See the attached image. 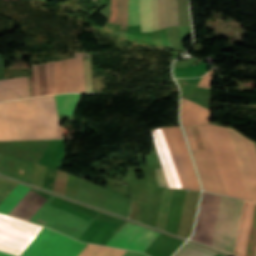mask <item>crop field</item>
I'll return each mask as SVG.
<instances>
[{
    "label": "crop field",
    "mask_w": 256,
    "mask_h": 256,
    "mask_svg": "<svg viewBox=\"0 0 256 256\" xmlns=\"http://www.w3.org/2000/svg\"><path fill=\"white\" fill-rule=\"evenodd\" d=\"M211 193L203 192L199 215L195 227V233L191 239L201 243L206 215ZM244 201L233 199L217 194L211 195L207 221L203 236V244L233 252L240 216ZM255 203L245 201L237 239L234 248V255L244 256L250 223ZM256 254V205L250 228L245 256Z\"/></svg>",
    "instance_id": "obj_1"
},
{
    "label": "crop field",
    "mask_w": 256,
    "mask_h": 256,
    "mask_svg": "<svg viewBox=\"0 0 256 256\" xmlns=\"http://www.w3.org/2000/svg\"><path fill=\"white\" fill-rule=\"evenodd\" d=\"M206 126L227 194L251 200L227 129ZM206 126H197L206 150L192 152L202 187L205 191L227 195Z\"/></svg>",
    "instance_id": "obj_2"
},
{
    "label": "crop field",
    "mask_w": 256,
    "mask_h": 256,
    "mask_svg": "<svg viewBox=\"0 0 256 256\" xmlns=\"http://www.w3.org/2000/svg\"><path fill=\"white\" fill-rule=\"evenodd\" d=\"M26 102L32 139L62 138L53 96ZM26 102H0V140L31 139Z\"/></svg>",
    "instance_id": "obj_3"
},
{
    "label": "crop field",
    "mask_w": 256,
    "mask_h": 256,
    "mask_svg": "<svg viewBox=\"0 0 256 256\" xmlns=\"http://www.w3.org/2000/svg\"><path fill=\"white\" fill-rule=\"evenodd\" d=\"M85 245L43 227L21 256H77Z\"/></svg>",
    "instance_id": "obj_4"
},
{
    "label": "crop field",
    "mask_w": 256,
    "mask_h": 256,
    "mask_svg": "<svg viewBox=\"0 0 256 256\" xmlns=\"http://www.w3.org/2000/svg\"><path fill=\"white\" fill-rule=\"evenodd\" d=\"M45 95L68 92L65 60L42 64ZM41 64L31 65V96L44 95Z\"/></svg>",
    "instance_id": "obj_5"
},
{
    "label": "crop field",
    "mask_w": 256,
    "mask_h": 256,
    "mask_svg": "<svg viewBox=\"0 0 256 256\" xmlns=\"http://www.w3.org/2000/svg\"><path fill=\"white\" fill-rule=\"evenodd\" d=\"M42 227L0 215V250L20 255Z\"/></svg>",
    "instance_id": "obj_6"
},
{
    "label": "crop field",
    "mask_w": 256,
    "mask_h": 256,
    "mask_svg": "<svg viewBox=\"0 0 256 256\" xmlns=\"http://www.w3.org/2000/svg\"><path fill=\"white\" fill-rule=\"evenodd\" d=\"M162 129H163L166 141L168 143V146H169L177 173L179 175L182 187L187 188V189H190V188L191 189H200L198 179H197V176L195 173V169H194L193 163L191 161L190 155L188 153V150H187L184 138H183V133H182L181 127H174V128H169V129H170L171 135L173 137L176 149L178 151V154H179L182 166L184 168L187 180L189 182L190 188H189L188 182L186 180L183 168L181 166V163H180L177 151L175 149L172 137L170 135L169 129L168 128H162Z\"/></svg>",
    "instance_id": "obj_7"
},
{
    "label": "crop field",
    "mask_w": 256,
    "mask_h": 256,
    "mask_svg": "<svg viewBox=\"0 0 256 256\" xmlns=\"http://www.w3.org/2000/svg\"><path fill=\"white\" fill-rule=\"evenodd\" d=\"M232 139L251 199L256 201V144L227 128Z\"/></svg>",
    "instance_id": "obj_8"
},
{
    "label": "crop field",
    "mask_w": 256,
    "mask_h": 256,
    "mask_svg": "<svg viewBox=\"0 0 256 256\" xmlns=\"http://www.w3.org/2000/svg\"><path fill=\"white\" fill-rule=\"evenodd\" d=\"M158 234L159 232L126 222L106 245L144 252Z\"/></svg>",
    "instance_id": "obj_9"
},
{
    "label": "crop field",
    "mask_w": 256,
    "mask_h": 256,
    "mask_svg": "<svg viewBox=\"0 0 256 256\" xmlns=\"http://www.w3.org/2000/svg\"><path fill=\"white\" fill-rule=\"evenodd\" d=\"M151 132L169 187L182 188L162 129H155Z\"/></svg>",
    "instance_id": "obj_10"
},
{
    "label": "crop field",
    "mask_w": 256,
    "mask_h": 256,
    "mask_svg": "<svg viewBox=\"0 0 256 256\" xmlns=\"http://www.w3.org/2000/svg\"><path fill=\"white\" fill-rule=\"evenodd\" d=\"M211 110L182 98L181 121L183 126L209 123Z\"/></svg>",
    "instance_id": "obj_11"
},
{
    "label": "crop field",
    "mask_w": 256,
    "mask_h": 256,
    "mask_svg": "<svg viewBox=\"0 0 256 256\" xmlns=\"http://www.w3.org/2000/svg\"><path fill=\"white\" fill-rule=\"evenodd\" d=\"M75 58L66 59L69 92H85L82 52H73Z\"/></svg>",
    "instance_id": "obj_12"
},
{
    "label": "crop field",
    "mask_w": 256,
    "mask_h": 256,
    "mask_svg": "<svg viewBox=\"0 0 256 256\" xmlns=\"http://www.w3.org/2000/svg\"><path fill=\"white\" fill-rule=\"evenodd\" d=\"M46 200L47 199L30 190L9 215L29 221Z\"/></svg>",
    "instance_id": "obj_13"
},
{
    "label": "crop field",
    "mask_w": 256,
    "mask_h": 256,
    "mask_svg": "<svg viewBox=\"0 0 256 256\" xmlns=\"http://www.w3.org/2000/svg\"><path fill=\"white\" fill-rule=\"evenodd\" d=\"M17 87L18 89L26 96L29 97V91H28V81L27 77L23 78H13L10 79ZM9 79L0 80V84L8 88L10 91L15 93L17 96L22 97L24 96L17 88L16 86L10 81ZM0 85V100H7V99H15L19 98L9 90H7L5 87ZM24 98V97H23Z\"/></svg>",
    "instance_id": "obj_14"
},
{
    "label": "crop field",
    "mask_w": 256,
    "mask_h": 256,
    "mask_svg": "<svg viewBox=\"0 0 256 256\" xmlns=\"http://www.w3.org/2000/svg\"><path fill=\"white\" fill-rule=\"evenodd\" d=\"M160 29L178 24L176 0H158Z\"/></svg>",
    "instance_id": "obj_15"
},
{
    "label": "crop field",
    "mask_w": 256,
    "mask_h": 256,
    "mask_svg": "<svg viewBox=\"0 0 256 256\" xmlns=\"http://www.w3.org/2000/svg\"><path fill=\"white\" fill-rule=\"evenodd\" d=\"M30 187L18 184L10 195L0 205V212L8 214L19 200L27 193Z\"/></svg>",
    "instance_id": "obj_16"
},
{
    "label": "crop field",
    "mask_w": 256,
    "mask_h": 256,
    "mask_svg": "<svg viewBox=\"0 0 256 256\" xmlns=\"http://www.w3.org/2000/svg\"><path fill=\"white\" fill-rule=\"evenodd\" d=\"M125 250L87 244L78 256H123Z\"/></svg>",
    "instance_id": "obj_17"
},
{
    "label": "crop field",
    "mask_w": 256,
    "mask_h": 256,
    "mask_svg": "<svg viewBox=\"0 0 256 256\" xmlns=\"http://www.w3.org/2000/svg\"><path fill=\"white\" fill-rule=\"evenodd\" d=\"M72 94L55 95L57 111L66 114ZM80 94H73L67 114H73Z\"/></svg>",
    "instance_id": "obj_18"
},
{
    "label": "crop field",
    "mask_w": 256,
    "mask_h": 256,
    "mask_svg": "<svg viewBox=\"0 0 256 256\" xmlns=\"http://www.w3.org/2000/svg\"><path fill=\"white\" fill-rule=\"evenodd\" d=\"M140 14H141V30L151 31L152 18H151V0H140Z\"/></svg>",
    "instance_id": "obj_19"
},
{
    "label": "crop field",
    "mask_w": 256,
    "mask_h": 256,
    "mask_svg": "<svg viewBox=\"0 0 256 256\" xmlns=\"http://www.w3.org/2000/svg\"><path fill=\"white\" fill-rule=\"evenodd\" d=\"M207 71H208V67H207V63L205 62L198 66L173 69L175 78L201 76L200 74H204Z\"/></svg>",
    "instance_id": "obj_20"
},
{
    "label": "crop field",
    "mask_w": 256,
    "mask_h": 256,
    "mask_svg": "<svg viewBox=\"0 0 256 256\" xmlns=\"http://www.w3.org/2000/svg\"><path fill=\"white\" fill-rule=\"evenodd\" d=\"M216 253L185 244L174 256H214Z\"/></svg>",
    "instance_id": "obj_21"
},
{
    "label": "crop field",
    "mask_w": 256,
    "mask_h": 256,
    "mask_svg": "<svg viewBox=\"0 0 256 256\" xmlns=\"http://www.w3.org/2000/svg\"><path fill=\"white\" fill-rule=\"evenodd\" d=\"M128 25H140L139 0H129Z\"/></svg>",
    "instance_id": "obj_22"
},
{
    "label": "crop field",
    "mask_w": 256,
    "mask_h": 256,
    "mask_svg": "<svg viewBox=\"0 0 256 256\" xmlns=\"http://www.w3.org/2000/svg\"><path fill=\"white\" fill-rule=\"evenodd\" d=\"M83 59H84V72H85L86 92H92L91 70H90V56H89V54L83 53Z\"/></svg>",
    "instance_id": "obj_23"
},
{
    "label": "crop field",
    "mask_w": 256,
    "mask_h": 256,
    "mask_svg": "<svg viewBox=\"0 0 256 256\" xmlns=\"http://www.w3.org/2000/svg\"><path fill=\"white\" fill-rule=\"evenodd\" d=\"M152 15H153V28L154 30H157L159 29L157 0H152Z\"/></svg>",
    "instance_id": "obj_24"
},
{
    "label": "crop field",
    "mask_w": 256,
    "mask_h": 256,
    "mask_svg": "<svg viewBox=\"0 0 256 256\" xmlns=\"http://www.w3.org/2000/svg\"><path fill=\"white\" fill-rule=\"evenodd\" d=\"M185 133H186V138L188 140L191 150L192 151L198 150L195 140H194V137H193V134H192V131H191V128L190 127L185 128Z\"/></svg>",
    "instance_id": "obj_25"
},
{
    "label": "crop field",
    "mask_w": 256,
    "mask_h": 256,
    "mask_svg": "<svg viewBox=\"0 0 256 256\" xmlns=\"http://www.w3.org/2000/svg\"><path fill=\"white\" fill-rule=\"evenodd\" d=\"M154 170H155L156 178H157V181H158V185L161 186V187H167L168 188L162 169L157 168V169H154Z\"/></svg>",
    "instance_id": "obj_26"
},
{
    "label": "crop field",
    "mask_w": 256,
    "mask_h": 256,
    "mask_svg": "<svg viewBox=\"0 0 256 256\" xmlns=\"http://www.w3.org/2000/svg\"><path fill=\"white\" fill-rule=\"evenodd\" d=\"M128 0H123V18L121 28H127Z\"/></svg>",
    "instance_id": "obj_27"
},
{
    "label": "crop field",
    "mask_w": 256,
    "mask_h": 256,
    "mask_svg": "<svg viewBox=\"0 0 256 256\" xmlns=\"http://www.w3.org/2000/svg\"><path fill=\"white\" fill-rule=\"evenodd\" d=\"M211 72H212V70L210 72H208L205 76L202 77V79L200 80L198 86L209 88Z\"/></svg>",
    "instance_id": "obj_28"
},
{
    "label": "crop field",
    "mask_w": 256,
    "mask_h": 256,
    "mask_svg": "<svg viewBox=\"0 0 256 256\" xmlns=\"http://www.w3.org/2000/svg\"><path fill=\"white\" fill-rule=\"evenodd\" d=\"M191 128H192V131H193V134H194V137H195V140H196L198 149H199V150L205 149L204 146H203V143H202V141H201V138H200V136H199L197 127H196V126H193V127H191Z\"/></svg>",
    "instance_id": "obj_29"
},
{
    "label": "crop field",
    "mask_w": 256,
    "mask_h": 256,
    "mask_svg": "<svg viewBox=\"0 0 256 256\" xmlns=\"http://www.w3.org/2000/svg\"><path fill=\"white\" fill-rule=\"evenodd\" d=\"M112 11L109 21L115 22L116 13H117V0H111Z\"/></svg>",
    "instance_id": "obj_30"
},
{
    "label": "crop field",
    "mask_w": 256,
    "mask_h": 256,
    "mask_svg": "<svg viewBox=\"0 0 256 256\" xmlns=\"http://www.w3.org/2000/svg\"><path fill=\"white\" fill-rule=\"evenodd\" d=\"M122 0H118V13L115 24H121Z\"/></svg>",
    "instance_id": "obj_31"
},
{
    "label": "crop field",
    "mask_w": 256,
    "mask_h": 256,
    "mask_svg": "<svg viewBox=\"0 0 256 256\" xmlns=\"http://www.w3.org/2000/svg\"><path fill=\"white\" fill-rule=\"evenodd\" d=\"M124 256H147V255H145L143 253H139V252L127 251Z\"/></svg>",
    "instance_id": "obj_32"
},
{
    "label": "crop field",
    "mask_w": 256,
    "mask_h": 256,
    "mask_svg": "<svg viewBox=\"0 0 256 256\" xmlns=\"http://www.w3.org/2000/svg\"><path fill=\"white\" fill-rule=\"evenodd\" d=\"M200 79L201 78H191V79H185V80H187V81H189L191 83H195V82H199Z\"/></svg>",
    "instance_id": "obj_33"
},
{
    "label": "crop field",
    "mask_w": 256,
    "mask_h": 256,
    "mask_svg": "<svg viewBox=\"0 0 256 256\" xmlns=\"http://www.w3.org/2000/svg\"><path fill=\"white\" fill-rule=\"evenodd\" d=\"M0 256H12V255L5 254V253L0 252Z\"/></svg>",
    "instance_id": "obj_34"
}]
</instances>
